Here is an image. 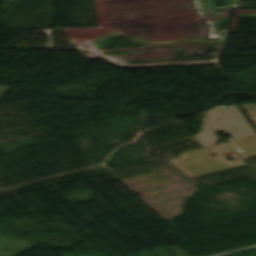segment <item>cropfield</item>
<instances>
[{
    "instance_id": "obj_1",
    "label": "crop field",
    "mask_w": 256,
    "mask_h": 256,
    "mask_svg": "<svg viewBox=\"0 0 256 256\" xmlns=\"http://www.w3.org/2000/svg\"><path fill=\"white\" fill-rule=\"evenodd\" d=\"M221 148L222 150H219ZM229 150H231L233 153L232 155L227 156L234 159L233 161L226 160L221 154V152ZM210 153H216L219 155V157L211 156ZM168 161L174 164L188 178L245 164L241 161L238 154L226 142L180 153L179 157L169 159Z\"/></svg>"
},
{
    "instance_id": "obj_2",
    "label": "crop field",
    "mask_w": 256,
    "mask_h": 256,
    "mask_svg": "<svg viewBox=\"0 0 256 256\" xmlns=\"http://www.w3.org/2000/svg\"><path fill=\"white\" fill-rule=\"evenodd\" d=\"M208 113L209 114H206L205 117L207 118L214 132L223 130L225 135H231L232 138L226 139L225 141L254 134L252 128L236 104L227 107H219L217 109L208 111ZM217 118L220 120H217ZM233 127L236 128V131L233 129Z\"/></svg>"
},
{
    "instance_id": "obj_3",
    "label": "crop field",
    "mask_w": 256,
    "mask_h": 256,
    "mask_svg": "<svg viewBox=\"0 0 256 256\" xmlns=\"http://www.w3.org/2000/svg\"><path fill=\"white\" fill-rule=\"evenodd\" d=\"M227 143L240 155L242 159L256 155V135L228 141Z\"/></svg>"
},
{
    "instance_id": "obj_4",
    "label": "crop field",
    "mask_w": 256,
    "mask_h": 256,
    "mask_svg": "<svg viewBox=\"0 0 256 256\" xmlns=\"http://www.w3.org/2000/svg\"><path fill=\"white\" fill-rule=\"evenodd\" d=\"M201 120L203 122L202 129L195 136H193V138L201 147L216 144V140H218V138L216 137L209 123L205 118Z\"/></svg>"
},
{
    "instance_id": "obj_5",
    "label": "crop field",
    "mask_w": 256,
    "mask_h": 256,
    "mask_svg": "<svg viewBox=\"0 0 256 256\" xmlns=\"http://www.w3.org/2000/svg\"><path fill=\"white\" fill-rule=\"evenodd\" d=\"M256 127V104L241 105ZM256 132V129L254 130Z\"/></svg>"
}]
</instances>
